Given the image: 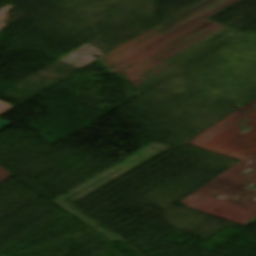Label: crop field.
I'll return each instance as SVG.
<instances>
[{
  "label": "crop field",
  "instance_id": "obj_1",
  "mask_svg": "<svg viewBox=\"0 0 256 256\" xmlns=\"http://www.w3.org/2000/svg\"><path fill=\"white\" fill-rule=\"evenodd\" d=\"M14 122L8 121V120H4L0 118V130L6 128L7 126L13 124Z\"/></svg>",
  "mask_w": 256,
  "mask_h": 256
}]
</instances>
